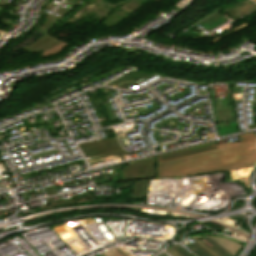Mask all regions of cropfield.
<instances>
[{
  "label": "crop field",
  "instance_id": "crop-field-1",
  "mask_svg": "<svg viewBox=\"0 0 256 256\" xmlns=\"http://www.w3.org/2000/svg\"><path fill=\"white\" fill-rule=\"evenodd\" d=\"M241 143L217 146L215 142L157 156V177L199 175L253 167L256 136H240Z\"/></svg>",
  "mask_w": 256,
  "mask_h": 256
},
{
  "label": "crop field",
  "instance_id": "crop-field-2",
  "mask_svg": "<svg viewBox=\"0 0 256 256\" xmlns=\"http://www.w3.org/2000/svg\"><path fill=\"white\" fill-rule=\"evenodd\" d=\"M79 146L81 147L84 155H89L92 159L102 155L121 157L122 160L130 158V156L127 155V152L119 146L116 137L89 142Z\"/></svg>",
  "mask_w": 256,
  "mask_h": 256
},
{
  "label": "crop field",
  "instance_id": "crop-field-3",
  "mask_svg": "<svg viewBox=\"0 0 256 256\" xmlns=\"http://www.w3.org/2000/svg\"><path fill=\"white\" fill-rule=\"evenodd\" d=\"M124 180L156 177V156L133 161L121 169Z\"/></svg>",
  "mask_w": 256,
  "mask_h": 256
},
{
  "label": "crop field",
  "instance_id": "crop-field-4",
  "mask_svg": "<svg viewBox=\"0 0 256 256\" xmlns=\"http://www.w3.org/2000/svg\"><path fill=\"white\" fill-rule=\"evenodd\" d=\"M57 19H58V17L50 16L48 18L46 24L44 25L43 29L40 32V33L44 34L45 36L42 37L41 39L33 42L32 44H30L28 47H26L23 50L32 54V53L41 52L43 50L49 49V48L57 45L58 43H60L59 42L60 40L57 41V40L53 39L52 37L45 34L47 32V30L52 26V24Z\"/></svg>",
  "mask_w": 256,
  "mask_h": 256
},
{
  "label": "crop field",
  "instance_id": "crop-field-5",
  "mask_svg": "<svg viewBox=\"0 0 256 256\" xmlns=\"http://www.w3.org/2000/svg\"><path fill=\"white\" fill-rule=\"evenodd\" d=\"M148 183H149V179L135 181L134 187H133L132 198L145 200Z\"/></svg>",
  "mask_w": 256,
  "mask_h": 256
},
{
  "label": "crop field",
  "instance_id": "crop-field-6",
  "mask_svg": "<svg viewBox=\"0 0 256 256\" xmlns=\"http://www.w3.org/2000/svg\"><path fill=\"white\" fill-rule=\"evenodd\" d=\"M210 246L211 248L216 251L221 256H232L227 251H225L223 248H221L218 244H216L214 241H212L210 238H203Z\"/></svg>",
  "mask_w": 256,
  "mask_h": 256
},
{
  "label": "crop field",
  "instance_id": "crop-field-7",
  "mask_svg": "<svg viewBox=\"0 0 256 256\" xmlns=\"http://www.w3.org/2000/svg\"><path fill=\"white\" fill-rule=\"evenodd\" d=\"M188 247H190L192 250H194L199 256H211L206 251H204L202 248H200L196 243H194Z\"/></svg>",
  "mask_w": 256,
  "mask_h": 256
},
{
  "label": "crop field",
  "instance_id": "crop-field-8",
  "mask_svg": "<svg viewBox=\"0 0 256 256\" xmlns=\"http://www.w3.org/2000/svg\"><path fill=\"white\" fill-rule=\"evenodd\" d=\"M194 240L200 247H202L204 250H206L208 253H210L212 256H219L216 252H214L211 248L207 247L205 244H203L201 241H199L197 238L192 239Z\"/></svg>",
  "mask_w": 256,
  "mask_h": 256
},
{
  "label": "crop field",
  "instance_id": "crop-field-9",
  "mask_svg": "<svg viewBox=\"0 0 256 256\" xmlns=\"http://www.w3.org/2000/svg\"><path fill=\"white\" fill-rule=\"evenodd\" d=\"M176 250H178L183 256H194L190 255L188 252H186L184 249H182L180 246L175 245L173 246Z\"/></svg>",
  "mask_w": 256,
  "mask_h": 256
},
{
  "label": "crop field",
  "instance_id": "crop-field-10",
  "mask_svg": "<svg viewBox=\"0 0 256 256\" xmlns=\"http://www.w3.org/2000/svg\"><path fill=\"white\" fill-rule=\"evenodd\" d=\"M171 256H182L178 251H176L173 247L166 251Z\"/></svg>",
  "mask_w": 256,
  "mask_h": 256
},
{
  "label": "crop field",
  "instance_id": "crop-field-11",
  "mask_svg": "<svg viewBox=\"0 0 256 256\" xmlns=\"http://www.w3.org/2000/svg\"><path fill=\"white\" fill-rule=\"evenodd\" d=\"M113 251H110V253L113 255V256H121L116 250L112 249Z\"/></svg>",
  "mask_w": 256,
  "mask_h": 256
},
{
  "label": "crop field",
  "instance_id": "crop-field-12",
  "mask_svg": "<svg viewBox=\"0 0 256 256\" xmlns=\"http://www.w3.org/2000/svg\"><path fill=\"white\" fill-rule=\"evenodd\" d=\"M167 256H170L169 254H167L166 252H164Z\"/></svg>",
  "mask_w": 256,
  "mask_h": 256
},
{
  "label": "crop field",
  "instance_id": "crop-field-13",
  "mask_svg": "<svg viewBox=\"0 0 256 256\" xmlns=\"http://www.w3.org/2000/svg\"><path fill=\"white\" fill-rule=\"evenodd\" d=\"M160 256H166L165 254H162V255H160Z\"/></svg>",
  "mask_w": 256,
  "mask_h": 256
},
{
  "label": "crop field",
  "instance_id": "crop-field-14",
  "mask_svg": "<svg viewBox=\"0 0 256 256\" xmlns=\"http://www.w3.org/2000/svg\"><path fill=\"white\" fill-rule=\"evenodd\" d=\"M254 2H256V0H253Z\"/></svg>",
  "mask_w": 256,
  "mask_h": 256
}]
</instances>
